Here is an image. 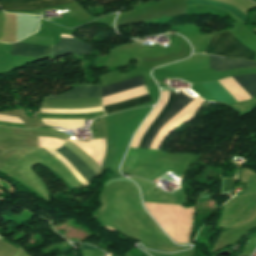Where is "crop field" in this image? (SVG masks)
Listing matches in <instances>:
<instances>
[{
    "instance_id": "obj_9",
    "label": "crop field",
    "mask_w": 256,
    "mask_h": 256,
    "mask_svg": "<svg viewBox=\"0 0 256 256\" xmlns=\"http://www.w3.org/2000/svg\"><path fill=\"white\" fill-rule=\"evenodd\" d=\"M242 67H256V62H248L242 59H226L222 57L211 56L210 68L215 71H227Z\"/></svg>"
},
{
    "instance_id": "obj_12",
    "label": "crop field",
    "mask_w": 256,
    "mask_h": 256,
    "mask_svg": "<svg viewBox=\"0 0 256 256\" xmlns=\"http://www.w3.org/2000/svg\"><path fill=\"white\" fill-rule=\"evenodd\" d=\"M157 179H158V178H157ZM157 179H156V180H157Z\"/></svg>"
},
{
    "instance_id": "obj_5",
    "label": "crop field",
    "mask_w": 256,
    "mask_h": 256,
    "mask_svg": "<svg viewBox=\"0 0 256 256\" xmlns=\"http://www.w3.org/2000/svg\"><path fill=\"white\" fill-rule=\"evenodd\" d=\"M207 54L253 60L255 52L241 44L231 33L224 32L215 34Z\"/></svg>"
},
{
    "instance_id": "obj_10",
    "label": "crop field",
    "mask_w": 256,
    "mask_h": 256,
    "mask_svg": "<svg viewBox=\"0 0 256 256\" xmlns=\"http://www.w3.org/2000/svg\"><path fill=\"white\" fill-rule=\"evenodd\" d=\"M187 5H191V4H204V5H209V6H214V7H218V8H222L225 10H229V12L236 17L239 20H242L245 22V18H246V14L242 13L241 11L230 7V6H226V5H222V4H218V3H214V2H210V1H204V0H189L186 1Z\"/></svg>"
},
{
    "instance_id": "obj_11",
    "label": "crop field",
    "mask_w": 256,
    "mask_h": 256,
    "mask_svg": "<svg viewBox=\"0 0 256 256\" xmlns=\"http://www.w3.org/2000/svg\"><path fill=\"white\" fill-rule=\"evenodd\" d=\"M0 125L10 126V127H22V128H25L24 125L4 123V122H0Z\"/></svg>"
},
{
    "instance_id": "obj_1",
    "label": "crop field",
    "mask_w": 256,
    "mask_h": 256,
    "mask_svg": "<svg viewBox=\"0 0 256 256\" xmlns=\"http://www.w3.org/2000/svg\"><path fill=\"white\" fill-rule=\"evenodd\" d=\"M99 97V86L91 87H76L70 91L60 95L46 97L49 99H89ZM103 110L102 107L90 108V109H75V110H52V109H41L44 113H90L95 111ZM42 118L45 119H93L95 117L103 116L104 112H96L90 114H43L40 113ZM42 122L45 125L67 127L70 129H75L76 127L84 126V120H45Z\"/></svg>"
},
{
    "instance_id": "obj_2",
    "label": "crop field",
    "mask_w": 256,
    "mask_h": 256,
    "mask_svg": "<svg viewBox=\"0 0 256 256\" xmlns=\"http://www.w3.org/2000/svg\"><path fill=\"white\" fill-rule=\"evenodd\" d=\"M93 46L79 41L72 36H61L60 43L53 45L50 58L57 57L65 53H78L88 55ZM51 47L17 42L12 44L10 55L28 56L38 58L50 53Z\"/></svg>"
},
{
    "instance_id": "obj_8",
    "label": "crop field",
    "mask_w": 256,
    "mask_h": 256,
    "mask_svg": "<svg viewBox=\"0 0 256 256\" xmlns=\"http://www.w3.org/2000/svg\"><path fill=\"white\" fill-rule=\"evenodd\" d=\"M71 3L72 0H15L0 2V6L3 10L33 11Z\"/></svg>"
},
{
    "instance_id": "obj_3",
    "label": "crop field",
    "mask_w": 256,
    "mask_h": 256,
    "mask_svg": "<svg viewBox=\"0 0 256 256\" xmlns=\"http://www.w3.org/2000/svg\"><path fill=\"white\" fill-rule=\"evenodd\" d=\"M193 99L171 92L169 101L142 138L138 148L150 149L160 129Z\"/></svg>"
},
{
    "instance_id": "obj_6",
    "label": "crop field",
    "mask_w": 256,
    "mask_h": 256,
    "mask_svg": "<svg viewBox=\"0 0 256 256\" xmlns=\"http://www.w3.org/2000/svg\"><path fill=\"white\" fill-rule=\"evenodd\" d=\"M232 78L243 90H245L250 95L251 98L256 96V74L234 76ZM201 85L218 102L222 104L228 105L236 102L234 98L218 83V81Z\"/></svg>"
},
{
    "instance_id": "obj_7",
    "label": "crop field",
    "mask_w": 256,
    "mask_h": 256,
    "mask_svg": "<svg viewBox=\"0 0 256 256\" xmlns=\"http://www.w3.org/2000/svg\"><path fill=\"white\" fill-rule=\"evenodd\" d=\"M65 147V146H64ZM63 146L56 149V151L61 154L65 159H67L72 166L77 170V172L89 183L92 176L95 175L82 161H80L74 154L68 151ZM48 152L52 153L55 157H57L61 162H63L68 170L85 186L88 183L75 171V169L71 166V164L66 161L62 156H60L53 149H45Z\"/></svg>"
},
{
    "instance_id": "obj_4",
    "label": "crop field",
    "mask_w": 256,
    "mask_h": 256,
    "mask_svg": "<svg viewBox=\"0 0 256 256\" xmlns=\"http://www.w3.org/2000/svg\"><path fill=\"white\" fill-rule=\"evenodd\" d=\"M144 85L145 84H144L141 76L130 78V79L118 82V83H114V84L102 87L101 88V97L110 95V94H114L117 92L129 90L132 88L144 86ZM150 101H151V99H150L149 94H146V95L114 102L111 104L103 105L102 107H103L105 113H108V112H112V111H117V110L129 108V107H133V106L140 105V104L150 102Z\"/></svg>"
}]
</instances>
